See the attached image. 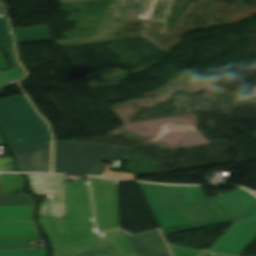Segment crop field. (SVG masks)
<instances>
[{
    "label": "crop field",
    "instance_id": "1",
    "mask_svg": "<svg viewBox=\"0 0 256 256\" xmlns=\"http://www.w3.org/2000/svg\"><path fill=\"white\" fill-rule=\"evenodd\" d=\"M65 190L67 219L38 218L53 256H117L94 227L87 181L65 182Z\"/></svg>",
    "mask_w": 256,
    "mask_h": 256
},
{
    "label": "crop field",
    "instance_id": "2",
    "mask_svg": "<svg viewBox=\"0 0 256 256\" xmlns=\"http://www.w3.org/2000/svg\"><path fill=\"white\" fill-rule=\"evenodd\" d=\"M256 198L248 191L237 188L202 203L152 210L161 228L221 221L244 216Z\"/></svg>",
    "mask_w": 256,
    "mask_h": 256
},
{
    "label": "crop field",
    "instance_id": "3",
    "mask_svg": "<svg viewBox=\"0 0 256 256\" xmlns=\"http://www.w3.org/2000/svg\"><path fill=\"white\" fill-rule=\"evenodd\" d=\"M25 96L0 99V127L8 145L49 142L47 123L39 116Z\"/></svg>",
    "mask_w": 256,
    "mask_h": 256
},
{
    "label": "crop field",
    "instance_id": "4",
    "mask_svg": "<svg viewBox=\"0 0 256 256\" xmlns=\"http://www.w3.org/2000/svg\"><path fill=\"white\" fill-rule=\"evenodd\" d=\"M130 148L55 142L54 173L102 176V158L125 159Z\"/></svg>",
    "mask_w": 256,
    "mask_h": 256
},
{
    "label": "crop field",
    "instance_id": "5",
    "mask_svg": "<svg viewBox=\"0 0 256 256\" xmlns=\"http://www.w3.org/2000/svg\"><path fill=\"white\" fill-rule=\"evenodd\" d=\"M90 181L99 231L120 228L117 181L92 177Z\"/></svg>",
    "mask_w": 256,
    "mask_h": 256
},
{
    "label": "crop field",
    "instance_id": "6",
    "mask_svg": "<svg viewBox=\"0 0 256 256\" xmlns=\"http://www.w3.org/2000/svg\"><path fill=\"white\" fill-rule=\"evenodd\" d=\"M151 209L201 202L206 199L201 187L159 186L139 183Z\"/></svg>",
    "mask_w": 256,
    "mask_h": 256
},
{
    "label": "crop field",
    "instance_id": "7",
    "mask_svg": "<svg viewBox=\"0 0 256 256\" xmlns=\"http://www.w3.org/2000/svg\"><path fill=\"white\" fill-rule=\"evenodd\" d=\"M256 239V219L235 222L209 252L240 256Z\"/></svg>",
    "mask_w": 256,
    "mask_h": 256
},
{
    "label": "crop field",
    "instance_id": "8",
    "mask_svg": "<svg viewBox=\"0 0 256 256\" xmlns=\"http://www.w3.org/2000/svg\"><path fill=\"white\" fill-rule=\"evenodd\" d=\"M50 144L51 142L10 146L9 148L16 154L20 170L49 172L51 167Z\"/></svg>",
    "mask_w": 256,
    "mask_h": 256
},
{
    "label": "crop field",
    "instance_id": "9",
    "mask_svg": "<svg viewBox=\"0 0 256 256\" xmlns=\"http://www.w3.org/2000/svg\"><path fill=\"white\" fill-rule=\"evenodd\" d=\"M125 233V232H124ZM139 256H171L159 230L132 236L125 233Z\"/></svg>",
    "mask_w": 256,
    "mask_h": 256
},
{
    "label": "crop field",
    "instance_id": "10",
    "mask_svg": "<svg viewBox=\"0 0 256 256\" xmlns=\"http://www.w3.org/2000/svg\"><path fill=\"white\" fill-rule=\"evenodd\" d=\"M32 190L36 195H45L63 199V182L61 176L27 175ZM39 180V182H37ZM57 194H59L57 196Z\"/></svg>",
    "mask_w": 256,
    "mask_h": 256
},
{
    "label": "crop field",
    "instance_id": "11",
    "mask_svg": "<svg viewBox=\"0 0 256 256\" xmlns=\"http://www.w3.org/2000/svg\"><path fill=\"white\" fill-rule=\"evenodd\" d=\"M105 240L115 250L118 256H138L133 246L120 230L101 233Z\"/></svg>",
    "mask_w": 256,
    "mask_h": 256
},
{
    "label": "crop field",
    "instance_id": "12",
    "mask_svg": "<svg viewBox=\"0 0 256 256\" xmlns=\"http://www.w3.org/2000/svg\"><path fill=\"white\" fill-rule=\"evenodd\" d=\"M13 30L17 45L51 40L47 26Z\"/></svg>",
    "mask_w": 256,
    "mask_h": 256
},
{
    "label": "crop field",
    "instance_id": "13",
    "mask_svg": "<svg viewBox=\"0 0 256 256\" xmlns=\"http://www.w3.org/2000/svg\"><path fill=\"white\" fill-rule=\"evenodd\" d=\"M38 217L66 218L65 202H41Z\"/></svg>",
    "mask_w": 256,
    "mask_h": 256
},
{
    "label": "crop field",
    "instance_id": "14",
    "mask_svg": "<svg viewBox=\"0 0 256 256\" xmlns=\"http://www.w3.org/2000/svg\"><path fill=\"white\" fill-rule=\"evenodd\" d=\"M34 204L30 194L24 195H3L0 192V206Z\"/></svg>",
    "mask_w": 256,
    "mask_h": 256
},
{
    "label": "crop field",
    "instance_id": "15",
    "mask_svg": "<svg viewBox=\"0 0 256 256\" xmlns=\"http://www.w3.org/2000/svg\"><path fill=\"white\" fill-rule=\"evenodd\" d=\"M25 74H23L21 71H19L16 68L10 69L6 72L0 71V90L5 87L6 85L24 77Z\"/></svg>",
    "mask_w": 256,
    "mask_h": 256
},
{
    "label": "crop field",
    "instance_id": "16",
    "mask_svg": "<svg viewBox=\"0 0 256 256\" xmlns=\"http://www.w3.org/2000/svg\"><path fill=\"white\" fill-rule=\"evenodd\" d=\"M0 45H13L11 33L6 18H0Z\"/></svg>",
    "mask_w": 256,
    "mask_h": 256
},
{
    "label": "crop field",
    "instance_id": "17",
    "mask_svg": "<svg viewBox=\"0 0 256 256\" xmlns=\"http://www.w3.org/2000/svg\"><path fill=\"white\" fill-rule=\"evenodd\" d=\"M175 256H198L202 251L193 250L185 247H180L176 245L171 246Z\"/></svg>",
    "mask_w": 256,
    "mask_h": 256
},
{
    "label": "crop field",
    "instance_id": "18",
    "mask_svg": "<svg viewBox=\"0 0 256 256\" xmlns=\"http://www.w3.org/2000/svg\"><path fill=\"white\" fill-rule=\"evenodd\" d=\"M255 217H256V207L244 219H250V218H255ZM244 219H240V220H244ZM233 221H238V220H233ZM224 222H230V221H224ZM224 222H218V223H224ZM218 223L170 229V230H165L164 233L167 234V233H172V232H177V231H182V230H187V229H192V228H197V227H202V226H207V225H213V224H218Z\"/></svg>",
    "mask_w": 256,
    "mask_h": 256
},
{
    "label": "crop field",
    "instance_id": "19",
    "mask_svg": "<svg viewBox=\"0 0 256 256\" xmlns=\"http://www.w3.org/2000/svg\"><path fill=\"white\" fill-rule=\"evenodd\" d=\"M105 176L107 177H115V178H123V179H131V180H135L134 176L132 174H125V173H118V172H111V171H107V173L105 174Z\"/></svg>",
    "mask_w": 256,
    "mask_h": 256
},
{
    "label": "crop field",
    "instance_id": "20",
    "mask_svg": "<svg viewBox=\"0 0 256 256\" xmlns=\"http://www.w3.org/2000/svg\"><path fill=\"white\" fill-rule=\"evenodd\" d=\"M0 170H13L11 159H0Z\"/></svg>",
    "mask_w": 256,
    "mask_h": 256
},
{
    "label": "crop field",
    "instance_id": "21",
    "mask_svg": "<svg viewBox=\"0 0 256 256\" xmlns=\"http://www.w3.org/2000/svg\"><path fill=\"white\" fill-rule=\"evenodd\" d=\"M0 68H3V69L6 68V62H5L4 57L1 53H0Z\"/></svg>",
    "mask_w": 256,
    "mask_h": 256
},
{
    "label": "crop field",
    "instance_id": "22",
    "mask_svg": "<svg viewBox=\"0 0 256 256\" xmlns=\"http://www.w3.org/2000/svg\"><path fill=\"white\" fill-rule=\"evenodd\" d=\"M203 256H213V255H211L210 253H206ZM215 256H221V255H215Z\"/></svg>",
    "mask_w": 256,
    "mask_h": 256
},
{
    "label": "crop field",
    "instance_id": "23",
    "mask_svg": "<svg viewBox=\"0 0 256 256\" xmlns=\"http://www.w3.org/2000/svg\"><path fill=\"white\" fill-rule=\"evenodd\" d=\"M0 144H2V140H1V138H0Z\"/></svg>",
    "mask_w": 256,
    "mask_h": 256
}]
</instances>
